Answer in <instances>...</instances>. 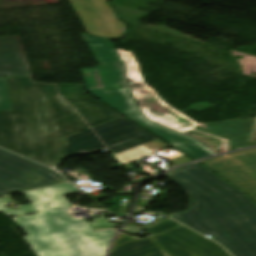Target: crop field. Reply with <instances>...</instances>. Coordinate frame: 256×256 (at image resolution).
<instances>
[{
    "mask_svg": "<svg viewBox=\"0 0 256 256\" xmlns=\"http://www.w3.org/2000/svg\"><path fill=\"white\" fill-rule=\"evenodd\" d=\"M67 140V157L109 149L121 166L170 147L124 117Z\"/></svg>",
    "mask_w": 256,
    "mask_h": 256,
    "instance_id": "obj_5",
    "label": "crop field"
},
{
    "mask_svg": "<svg viewBox=\"0 0 256 256\" xmlns=\"http://www.w3.org/2000/svg\"><path fill=\"white\" fill-rule=\"evenodd\" d=\"M76 192L65 183L22 194L41 214L13 220L37 256H105L115 231L93 232L86 220L69 216L72 205L62 195Z\"/></svg>",
    "mask_w": 256,
    "mask_h": 256,
    "instance_id": "obj_3",
    "label": "crop field"
},
{
    "mask_svg": "<svg viewBox=\"0 0 256 256\" xmlns=\"http://www.w3.org/2000/svg\"><path fill=\"white\" fill-rule=\"evenodd\" d=\"M0 111H11L5 77H0Z\"/></svg>",
    "mask_w": 256,
    "mask_h": 256,
    "instance_id": "obj_16",
    "label": "crop field"
},
{
    "mask_svg": "<svg viewBox=\"0 0 256 256\" xmlns=\"http://www.w3.org/2000/svg\"><path fill=\"white\" fill-rule=\"evenodd\" d=\"M0 75L32 77L18 37L0 38Z\"/></svg>",
    "mask_w": 256,
    "mask_h": 256,
    "instance_id": "obj_12",
    "label": "crop field"
},
{
    "mask_svg": "<svg viewBox=\"0 0 256 256\" xmlns=\"http://www.w3.org/2000/svg\"><path fill=\"white\" fill-rule=\"evenodd\" d=\"M250 133L219 134L203 138H197L201 143L213 152L219 151L222 140L227 142L226 151L243 147L255 146L256 142H247Z\"/></svg>",
    "mask_w": 256,
    "mask_h": 256,
    "instance_id": "obj_14",
    "label": "crop field"
},
{
    "mask_svg": "<svg viewBox=\"0 0 256 256\" xmlns=\"http://www.w3.org/2000/svg\"><path fill=\"white\" fill-rule=\"evenodd\" d=\"M12 112H0V146L55 168L66 147L53 121L74 114L59 98L56 84L6 77Z\"/></svg>",
    "mask_w": 256,
    "mask_h": 256,
    "instance_id": "obj_2",
    "label": "crop field"
},
{
    "mask_svg": "<svg viewBox=\"0 0 256 256\" xmlns=\"http://www.w3.org/2000/svg\"><path fill=\"white\" fill-rule=\"evenodd\" d=\"M191 197L189 213L170 218L220 243L234 256H256V205L199 164L164 174Z\"/></svg>",
    "mask_w": 256,
    "mask_h": 256,
    "instance_id": "obj_1",
    "label": "crop field"
},
{
    "mask_svg": "<svg viewBox=\"0 0 256 256\" xmlns=\"http://www.w3.org/2000/svg\"><path fill=\"white\" fill-rule=\"evenodd\" d=\"M249 141H256V122H255V126H254V128L252 130V133H251V135L249 137Z\"/></svg>",
    "mask_w": 256,
    "mask_h": 256,
    "instance_id": "obj_19",
    "label": "crop field"
},
{
    "mask_svg": "<svg viewBox=\"0 0 256 256\" xmlns=\"http://www.w3.org/2000/svg\"><path fill=\"white\" fill-rule=\"evenodd\" d=\"M57 86L62 101L76 113L55 121L61 135L68 136L120 116L85 94L82 84Z\"/></svg>",
    "mask_w": 256,
    "mask_h": 256,
    "instance_id": "obj_7",
    "label": "crop field"
},
{
    "mask_svg": "<svg viewBox=\"0 0 256 256\" xmlns=\"http://www.w3.org/2000/svg\"><path fill=\"white\" fill-rule=\"evenodd\" d=\"M146 231L169 256H230L218 244L168 218Z\"/></svg>",
    "mask_w": 256,
    "mask_h": 256,
    "instance_id": "obj_8",
    "label": "crop field"
},
{
    "mask_svg": "<svg viewBox=\"0 0 256 256\" xmlns=\"http://www.w3.org/2000/svg\"><path fill=\"white\" fill-rule=\"evenodd\" d=\"M201 163L244 189L256 201V148L218 156Z\"/></svg>",
    "mask_w": 256,
    "mask_h": 256,
    "instance_id": "obj_10",
    "label": "crop field"
},
{
    "mask_svg": "<svg viewBox=\"0 0 256 256\" xmlns=\"http://www.w3.org/2000/svg\"><path fill=\"white\" fill-rule=\"evenodd\" d=\"M140 230H141V228H137V227H133V226H129V225H126L121 229V231L127 232L132 235H135Z\"/></svg>",
    "mask_w": 256,
    "mask_h": 256,
    "instance_id": "obj_18",
    "label": "crop field"
},
{
    "mask_svg": "<svg viewBox=\"0 0 256 256\" xmlns=\"http://www.w3.org/2000/svg\"><path fill=\"white\" fill-rule=\"evenodd\" d=\"M109 256H167L150 238L135 239L121 232L118 233Z\"/></svg>",
    "mask_w": 256,
    "mask_h": 256,
    "instance_id": "obj_13",
    "label": "crop field"
},
{
    "mask_svg": "<svg viewBox=\"0 0 256 256\" xmlns=\"http://www.w3.org/2000/svg\"><path fill=\"white\" fill-rule=\"evenodd\" d=\"M93 231H104V230H115V226L105 221L103 218H95L93 222L90 223Z\"/></svg>",
    "mask_w": 256,
    "mask_h": 256,
    "instance_id": "obj_17",
    "label": "crop field"
},
{
    "mask_svg": "<svg viewBox=\"0 0 256 256\" xmlns=\"http://www.w3.org/2000/svg\"><path fill=\"white\" fill-rule=\"evenodd\" d=\"M106 1H109V0H106Z\"/></svg>",
    "mask_w": 256,
    "mask_h": 256,
    "instance_id": "obj_20",
    "label": "crop field"
},
{
    "mask_svg": "<svg viewBox=\"0 0 256 256\" xmlns=\"http://www.w3.org/2000/svg\"><path fill=\"white\" fill-rule=\"evenodd\" d=\"M65 181L53 170L0 149V196Z\"/></svg>",
    "mask_w": 256,
    "mask_h": 256,
    "instance_id": "obj_9",
    "label": "crop field"
},
{
    "mask_svg": "<svg viewBox=\"0 0 256 256\" xmlns=\"http://www.w3.org/2000/svg\"><path fill=\"white\" fill-rule=\"evenodd\" d=\"M11 201L9 197L0 198V211H3L7 216L16 217L39 212L31 204L20 206V210L17 211L9 210L5 204Z\"/></svg>",
    "mask_w": 256,
    "mask_h": 256,
    "instance_id": "obj_15",
    "label": "crop field"
},
{
    "mask_svg": "<svg viewBox=\"0 0 256 256\" xmlns=\"http://www.w3.org/2000/svg\"><path fill=\"white\" fill-rule=\"evenodd\" d=\"M80 34L100 65L81 70L90 94L196 160L214 155L199 141L166 129L146 118L136 104L128 85L125 64L122 63L111 40Z\"/></svg>",
    "mask_w": 256,
    "mask_h": 256,
    "instance_id": "obj_4",
    "label": "crop field"
},
{
    "mask_svg": "<svg viewBox=\"0 0 256 256\" xmlns=\"http://www.w3.org/2000/svg\"><path fill=\"white\" fill-rule=\"evenodd\" d=\"M122 60L125 61L130 88L136 101L141 103L140 108L144 115L154 122L189 135L191 137H203L219 133L251 132L255 119L225 121L216 123L197 124L189 118L175 111L163 102L150 88L145 86L140 78L139 66L131 52L117 50Z\"/></svg>",
    "mask_w": 256,
    "mask_h": 256,
    "instance_id": "obj_6",
    "label": "crop field"
},
{
    "mask_svg": "<svg viewBox=\"0 0 256 256\" xmlns=\"http://www.w3.org/2000/svg\"><path fill=\"white\" fill-rule=\"evenodd\" d=\"M89 34L120 40L127 26L118 21L111 6L102 0H68Z\"/></svg>",
    "mask_w": 256,
    "mask_h": 256,
    "instance_id": "obj_11",
    "label": "crop field"
}]
</instances>
